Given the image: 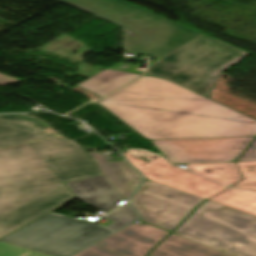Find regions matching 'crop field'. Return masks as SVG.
Listing matches in <instances>:
<instances>
[{
    "label": "crop field",
    "mask_w": 256,
    "mask_h": 256,
    "mask_svg": "<svg viewBox=\"0 0 256 256\" xmlns=\"http://www.w3.org/2000/svg\"><path fill=\"white\" fill-rule=\"evenodd\" d=\"M0 256H49L0 242Z\"/></svg>",
    "instance_id": "crop-field-20"
},
{
    "label": "crop field",
    "mask_w": 256,
    "mask_h": 256,
    "mask_svg": "<svg viewBox=\"0 0 256 256\" xmlns=\"http://www.w3.org/2000/svg\"><path fill=\"white\" fill-rule=\"evenodd\" d=\"M123 27L124 50L162 57L201 33L123 0H58Z\"/></svg>",
    "instance_id": "crop-field-3"
},
{
    "label": "crop field",
    "mask_w": 256,
    "mask_h": 256,
    "mask_svg": "<svg viewBox=\"0 0 256 256\" xmlns=\"http://www.w3.org/2000/svg\"><path fill=\"white\" fill-rule=\"evenodd\" d=\"M104 218L114 221L113 223L105 226L112 230H117L126 224L134 221L138 218V214L133 210V208L127 203L114 212L108 214Z\"/></svg>",
    "instance_id": "crop-field-17"
},
{
    "label": "crop field",
    "mask_w": 256,
    "mask_h": 256,
    "mask_svg": "<svg viewBox=\"0 0 256 256\" xmlns=\"http://www.w3.org/2000/svg\"><path fill=\"white\" fill-rule=\"evenodd\" d=\"M17 80H19V79L0 74V85H5L8 83L17 81Z\"/></svg>",
    "instance_id": "crop-field-24"
},
{
    "label": "crop field",
    "mask_w": 256,
    "mask_h": 256,
    "mask_svg": "<svg viewBox=\"0 0 256 256\" xmlns=\"http://www.w3.org/2000/svg\"><path fill=\"white\" fill-rule=\"evenodd\" d=\"M245 179L234 185V187L256 190V161L238 162Z\"/></svg>",
    "instance_id": "crop-field-19"
},
{
    "label": "crop field",
    "mask_w": 256,
    "mask_h": 256,
    "mask_svg": "<svg viewBox=\"0 0 256 256\" xmlns=\"http://www.w3.org/2000/svg\"><path fill=\"white\" fill-rule=\"evenodd\" d=\"M204 200L146 180L132 203L143 216L141 220L173 231Z\"/></svg>",
    "instance_id": "crop-field-7"
},
{
    "label": "crop field",
    "mask_w": 256,
    "mask_h": 256,
    "mask_svg": "<svg viewBox=\"0 0 256 256\" xmlns=\"http://www.w3.org/2000/svg\"><path fill=\"white\" fill-rule=\"evenodd\" d=\"M13 120L21 124L30 126L40 131L57 135L61 137L57 132L53 131L45 122L42 120L24 115V114H12V115H0V121ZM63 138V137H61ZM65 139V138H63ZM67 140V139H66Z\"/></svg>",
    "instance_id": "crop-field-18"
},
{
    "label": "crop field",
    "mask_w": 256,
    "mask_h": 256,
    "mask_svg": "<svg viewBox=\"0 0 256 256\" xmlns=\"http://www.w3.org/2000/svg\"><path fill=\"white\" fill-rule=\"evenodd\" d=\"M168 234L148 224H132L96 245L122 256H147Z\"/></svg>",
    "instance_id": "crop-field-10"
},
{
    "label": "crop field",
    "mask_w": 256,
    "mask_h": 256,
    "mask_svg": "<svg viewBox=\"0 0 256 256\" xmlns=\"http://www.w3.org/2000/svg\"><path fill=\"white\" fill-rule=\"evenodd\" d=\"M97 103L149 140L256 136V120L165 79L144 76Z\"/></svg>",
    "instance_id": "crop-field-2"
},
{
    "label": "crop field",
    "mask_w": 256,
    "mask_h": 256,
    "mask_svg": "<svg viewBox=\"0 0 256 256\" xmlns=\"http://www.w3.org/2000/svg\"><path fill=\"white\" fill-rule=\"evenodd\" d=\"M255 137L152 141L172 163L237 159Z\"/></svg>",
    "instance_id": "crop-field-8"
},
{
    "label": "crop field",
    "mask_w": 256,
    "mask_h": 256,
    "mask_svg": "<svg viewBox=\"0 0 256 256\" xmlns=\"http://www.w3.org/2000/svg\"><path fill=\"white\" fill-rule=\"evenodd\" d=\"M74 195L88 204L106 211L125 200L105 175L65 183Z\"/></svg>",
    "instance_id": "crop-field-11"
},
{
    "label": "crop field",
    "mask_w": 256,
    "mask_h": 256,
    "mask_svg": "<svg viewBox=\"0 0 256 256\" xmlns=\"http://www.w3.org/2000/svg\"><path fill=\"white\" fill-rule=\"evenodd\" d=\"M140 76L141 75L138 74L107 69L87 79L78 86L90 90L102 97Z\"/></svg>",
    "instance_id": "crop-field-14"
},
{
    "label": "crop field",
    "mask_w": 256,
    "mask_h": 256,
    "mask_svg": "<svg viewBox=\"0 0 256 256\" xmlns=\"http://www.w3.org/2000/svg\"><path fill=\"white\" fill-rule=\"evenodd\" d=\"M102 174L79 145L0 122V238L75 198L63 182Z\"/></svg>",
    "instance_id": "crop-field-1"
},
{
    "label": "crop field",
    "mask_w": 256,
    "mask_h": 256,
    "mask_svg": "<svg viewBox=\"0 0 256 256\" xmlns=\"http://www.w3.org/2000/svg\"><path fill=\"white\" fill-rule=\"evenodd\" d=\"M256 160V140L245 151L242 157L238 161H255Z\"/></svg>",
    "instance_id": "crop-field-22"
},
{
    "label": "crop field",
    "mask_w": 256,
    "mask_h": 256,
    "mask_svg": "<svg viewBox=\"0 0 256 256\" xmlns=\"http://www.w3.org/2000/svg\"><path fill=\"white\" fill-rule=\"evenodd\" d=\"M110 233L92 222L51 213L0 241L52 256H70Z\"/></svg>",
    "instance_id": "crop-field-6"
},
{
    "label": "crop field",
    "mask_w": 256,
    "mask_h": 256,
    "mask_svg": "<svg viewBox=\"0 0 256 256\" xmlns=\"http://www.w3.org/2000/svg\"><path fill=\"white\" fill-rule=\"evenodd\" d=\"M209 201L256 215V192L229 188Z\"/></svg>",
    "instance_id": "crop-field-15"
},
{
    "label": "crop field",
    "mask_w": 256,
    "mask_h": 256,
    "mask_svg": "<svg viewBox=\"0 0 256 256\" xmlns=\"http://www.w3.org/2000/svg\"><path fill=\"white\" fill-rule=\"evenodd\" d=\"M122 153L149 180L200 196L202 198L207 199L227 188L198 175L176 168L161 157L147 164L141 158H134L127 151Z\"/></svg>",
    "instance_id": "crop-field-9"
},
{
    "label": "crop field",
    "mask_w": 256,
    "mask_h": 256,
    "mask_svg": "<svg viewBox=\"0 0 256 256\" xmlns=\"http://www.w3.org/2000/svg\"><path fill=\"white\" fill-rule=\"evenodd\" d=\"M126 1V0H125Z\"/></svg>",
    "instance_id": "crop-field-26"
},
{
    "label": "crop field",
    "mask_w": 256,
    "mask_h": 256,
    "mask_svg": "<svg viewBox=\"0 0 256 256\" xmlns=\"http://www.w3.org/2000/svg\"><path fill=\"white\" fill-rule=\"evenodd\" d=\"M149 256H231L171 233Z\"/></svg>",
    "instance_id": "crop-field-13"
},
{
    "label": "crop field",
    "mask_w": 256,
    "mask_h": 256,
    "mask_svg": "<svg viewBox=\"0 0 256 256\" xmlns=\"http://www.w3.org/2000/svg\"><path fill=\"white\" fill-rule=\"evenodd\" d=\"M90 158L94 161L95 164L98 162L97 159H94L91 156H90Z\"/></svg>",
    "instance_id": "crop-field-25"
},
{
    "label": "crop field",
    "mask_w": 256,
    "mask_h": 256,
    "mask_svg": "<svg viewBox=\"0 0 256 256\" xmlns=\"http://www.w3.org/2000/svg\"><path fill=\"white\" fill-rule=\"evenodd\" d=\"M188 169L228 185L241 179L234 163L189 165Z\"/></svg>",
    "instance_id": "crop-field-16"
},
{
    "label": "crop field",
    "mask_w": 256,
    "mask_h": 256,
    "mask_svg": "<svg viewBox=\"0 0 256 256\" xmlns=\"http://www.w3.org/2000/svg\"><path fill=\"white\" fill-rule=\"evenodd\" d=\"M88 155L99 160L96 165L128 201L140 185L142 177L125 160L112 162L99 151L89 152Z\"/></svg>",
    "instance_id": "crop-field-12"
},
{
    "label": "crop field",
    "mask_w": 256,
    "mask_h": 256,
    "mask_svg": "<svg viewBox=\"0 0 256 256\" xmlns=\"http://www.w3.org/2000/svg\"><path fill=\"white\" fill-rule=\"evenodd\" d=\"M248 54L202 34L150 64L145 75L169 79L209 97L218 75Z\"/></svg>",
    "instance_id": "crop-field-4"
},
{
    "label": "crop field",
    "mask_w": 256,
    "mask_h": 256,
    "mask_svg": "<svg viewBox=\"0 0 256 256\" xmlns=\"http://www.w3.org/2000/svg\"><path fill=\"white\" fill-rule=\"evenodd\" d=\"M75 256H120L96 245L82 251Z\"/></svg>",
    "instance_id": "crop-field-21"
},
{
    "label": "crop field",
    "mask_w": 256,
    "mask_h": 256,
    "mask_svg": "<svg viewBox=\"0 0 256 256\" xmlns=\"http://www.w3.org/2000/svg\"><path fill=\"white\" fill-rule=\"evenodd\" d=\"M121 65H130V64H123V63H119L109 69H113V70H119V71H126V72H131V73H138V74H143L142 71H138V67L137 65H130V67L128 69H121Z\"/></svg>",
    "instance_id": "crop-field-23"
},
{
    "label": "crop field",
    "mask_w": 256,
    "mask_h": 256,
    "mask_svg": "<svg viewBox=\"0 0 256 256\" xmlns=\"http://www.w3.org/2000/svg\"><path fill=\"white\" fill-rule=\"evenodd\" d=\"M173 233L234 256H256V216L209 201Z\"/></svg>",
    "instance_id": "crop-field-5"
}]
</instances>
